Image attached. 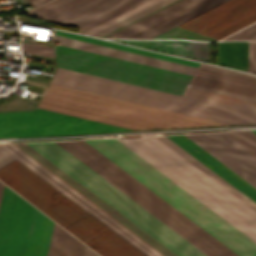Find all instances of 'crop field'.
Returning <instances> with one entry per match:
<instances>
[{
    "label": "crop field",
    "instance_id": "412701ff",
    "mask_svg": "<svg viewBox=\"0 0 256 256\" xmlns=\"http://www.w3.org/2000/svg\"><path fill=\"white\" fill-rule=\"evenodd\" d=\"M52 83L142 102L236 124L256 123V114L57 67Z\"/></svg>",
    "mask_w": 256,
    "mask_h": 256
},
{
    "label": "crop field",
    "instance_id": "733c2abd",
    "mask_svg": "<svg viewBox=\"0 0 256 256\" xmlns=\"http://www.w3.org/2000/svg\"><path fill=\"white\" fill-rule=\"evenodd\" d=\"M84 248L85 245L55 224L47 256H83Z\"/></svg>",
    "mask_w": 256,
    "mask_h": 256
},
{
    "label": "crop field",
    "instance_id": "bd1437ed",
    "mask_svg": "<svg viewBox=\"0 0 256 256\" xmlns=\"http://www.w3.org/2000/svg\"><path fill=\"white\" fill-rule=\"evenodd\" d=\"M3 187H4V184L0 182V199L3 191Z\"/></svg>",
    "mask_w": 256,
    "mask_h": 256
},
{
    "label": "crop field",
    "instance_id": "d8731c3e",
    "mask_svg": "<svg viewBox=\"0 0 256 256\" xmlns=\"http://www.w3.org/2000/svg\"><path fill=\"white\" fill-rule=\"evenodd\" d=\"M34 207L4 187L0 204V256H23ZM38 210H34L24 256H28Z\"/></svg>",
    "mask_w": 256,
    "mask_h": 256
},
{
    "label": "crop field",
    "instance_id": "eef30255",
    "mask_svg": "<svg viewBox=\"0 0 256 256\" xmlns=\"http://www.w3.org/2000/svg\"><path fill=\"white\" fill-rule=\"evenodd\" d=\"M224 40H256V23Z\"/></svg>",
    "mask_w": 256,
    "mask_h": 256
},
{
    "label": "crop field",
    "instance_id": "bc2a9ffb",
    "mask_svg": "<svg viewBox=\"0 0 256 256\" xmlns=\"http://www.w3.org/2000/svg\"><path fill=\"white\" fill-rule=\"evenodd\" d=\"M227 0H207L133 38H153Z\"/></svg>",
    "mask_w": 256,
    "mask_h": 256
},
{
    "label": "crop field",
    "instance_id": "ac0d7876",
    "mask_svg": "<svg viewBox=\"0 0 256 256\" xmlns=\"http://www.w3.org/2000/svg\"><path fill=\"white\" fill-rule=\"evenodd\" d=\"M166 256H177L26 143L17 144ZM15 144L0 145L146 256H164ZM0 148V178L23 165ZM0 179L101 256H145L25 166Z\"/></svg>",
    "mask_w": 256,
    "mask_h": 256
},
{
    "label": "crop field",
    "instance_id": "00972430",
    "mask_svg": "<svg viewBox=\"0 0 256 256\" xmlns=\"http://www.w3.org/2000/svg\"><path fill=\"white\" fill-rule=\"evenodd\" d=\"M173 1H175V0H163V1L153 5L151 7L135 14V15H132V16H130V17H128V18H126V19H124V20H122V21H120V22H118V23H116V24L98 32V33H96V34H94L93 36L102 37V36L112 32V31H114V30H116V29H118V28H120V27H122V26H124V25L142 17V16H145V15H147V14H149V13H151V12H153V11H155V10H157V9H159V8L165 6V5H167V4H169Z\"/></svg>",
    "mask_w": 256,
    "mask_h": 256
},
{
    "label": "crop field",
    "instance_id": "4177f3b9",
    "mask_svg": "<svg viewBox=\"0 0 256 256\" xmlns=\"http://www.w3.org/2000/svg\"><path fill=\"white\" fill-rule=\"evenodd\" d=\"M159 1H161V0H150V1H148L144 4H142V5L126 12V13H123V14H121V15H119V16H117V17H115V18H113V19H111V20H109V21H107V22H105V23L87 31V32H85L84 34L92 35V34L98 32V31H100V30H102V29H104V28H106V27H108V26H110V25H112V24L130 16V15H132V14H135V13H137V12H139V11H141V10H143V9H145V8L151 6V5H153V4H155Z\"/></svg>",
    "mask_w": 256,
    "mask_h": 256
},
{
    "label": "crop field",
    "instance_id": "dafd665d",
    "mask_svg": "<svg viewBox=\"0 0 256 256\" xmlns=\"http://www.w3.org/2000/svg\"><path fill=\"white\" fill-rule=\"evenodd\" d=\"M54 33L81 39V40H85V41H90V42H94V43H98V44H103V45H107V46H111V47H115V48H120V49H124V50H128V51H132V52H137V53H141V54H145V55H149V56H154V57H158V58H162V59H167V60H171V61H175V62H179V63H184V64L196 66V67L200 66L199 63H195V62H191V61H187V60H183V59H179V58H174V57H170V56H166V55H162V54H158V53H153V52H149V51H145V50H141V49H137V48H133V47H128V46H124V45H120V44H116V43H112V42H108V41H103V40H99V39H95V38L78 36V35L62 32V31H58V30H54Z\"/></svg>",
    "mask_w": 256,
    "mask_h": 256
},
{
    "label": "crop field",
    "instance_id": "d3111659",
    "mask_svg": "<svg viewBox=\"0 0 256 256\" xmlns=\"http://www.w3.org/2000/svg\"><path fill=\"white\" fill-rule=\"evenodd\" d=\"M84 256H98L93 251H91L89 248H85Z\"/></svg>",
    "mask_w": 256,
    "mask_h": 256
},
{
    "label": "crop field",
    "instance_id": "dd49c442",
    "mask_svg": "<svg viewBox=\"0 0 256 256\" xmlns=\"http://www.w3.org/2000/svg\"><path fill=\"white\" fill-rule=\"evenodd\" d=\"M133 130L36 108L0 113V138L129 132Z\"/></svg>",
    "mask_w": 256,
    "mask_h": 256
},
{
    "label": "crop field",
    "instance_id": "f4fd0767",
    "mask_svg": "<svg viewBox=\"0 0 256 256\" xmlns=\"http://www.w3.org/2000/svg\"><path fill=\"white\" fill-rule=\"evenodd\" d=\"M57 66L184 96L190 79L55 48Z\"/></svg>",
    "mask_w": 256,
    "mask_h": 256
},
{
    "label": "crop field",
    "instance_id": "e52e79f7",
    "mask_svg": "<svg viewBox=\"0 0 256 256\" xmlns=\"http://www.w3.org/2000/svg\"><path fill=\"white\" fill-rule=\"evenodd\" d=\"M83 0H52L44 5H41L31 12L39 18L46 19L76 3ZM135 0H85L77 5H74L46 20L63 24H76L80 28L133 2ZM148 0H137L81 29L78 32L83 33L129 9H132Z\"/></svg>",
    "mask_w": 256,
    "mask_h": 256
},
{
    "label": "crop field",
    "instance_id": "d1516ede",
    "mask_svg": "<svg viewBox=\"0 0 256 256\" xmlns=\"http://www.w3.org/2000/svg\"><path fill=\"white\" fill-rule=\"evenodd\" d=\"M194 84L256 98V77L202 64Z\"/></svg>",
    "mask_w": 256,
    "mask_h": 256
},
{
    "label": "crop field",
    "instance_id": "730fd06b",
    "mask_svg": "<svg viewBox=\"0 0 256 256\" xmlns=\"http://www.w3.org/2000/svg\"><path fill=\"white\" fill-rule=\"evenodd\" d=\"M23 52L54 58L53 47L22 42Z\"/></svg>",
    "mask_w": 256,
    "mask_h": 256
},
{
    "label": "crop field",
    "instance_id": "d32e631a",
    "mask_svg": "<svg viewBox=\"0 0 256 256\" xmlns=\"http://www.w3.org/2000/svg\"><path fill=\"white\" fill-rule=\"evenodd\" d=\"M250 131H252L254 134H256V130H250Z\"/></svg>",
    "mask_w": 256,
    "mask_h": 256
},
{
    "label": "crop field",
    "instance_id": "92a150f3",
    "mask_svg": "<svg viewBox=\"0 0 256 256\" xmlns=\"http://www.w3.org/2000/svg\"><path fill=\"white\" fill-rule=\"evenodd\" d=\"M53 224L54 222L42 213H38L29 256H46Z\"/></svg>",
    "mask_w": 256,
    "mask_h": 256
},
{
    "label": "crop field",
    "instance_id": "3316defc",
    "mask_svg": "<svg viewBox=\"0 0 256 256\" xmlns=\"http://www.w3.org/2000/svg\"><path fill=\"white\" fill-rule=\"evenodd\" d=\"M256 188V156L225 133L186 135Z\"/></svg>",
    "mask_w": 256,
    "mask_h": 256
},
{
    "label": "crop field",
    "instance_id": "1d83c4d3",
    "mask_svg": "<svg viewBox=\"0 0 256 256\" xmlns=\"http://www.w3.org/2000/svg\"><path fill=\"white\" fill-rule=\"evenodd\" d=\"M44 64H47V65L51 64V65H53V63L51 61H47V60H45Z\"/></svg>",
    "mask_w": 256,
    "mask_h": 256
},
{
    "label": "crop field",
    "instance_id": "4a817a6b",
    "mask_svg": "<svg viewBox=\"0 0 256 256\" xmlns=\"http://www.w3.org/2000/svg\"><path fill=\"white\" fill-rule=\"evenodd\" d=\"M157 138L256 211L255 202H253L251 199H249L247 196H245L231 184L226 182L224 179H222L220 176H218L216 173H214L212 170H210L208 167H206L204 164H202L200 161H198L196 158H194L192 155H190L188 152H186L172 140H170L168 137L160 136Z\"/></svg>",
    "mask_w": 256,
    "mask_h": 256
},
{
    "label": "crop field",
    "instance_id": "a9b5d70f",
    "mask_svg": "<svg viewBox=\"0 0 256 256\" xmlns=\"http://www.w3.org/2000/svg\"><path fill=\"white\" fill-rule=\"evenodd\" d=\"M229 136L256 155V135L249 130L227 132Z\"/></svg>",
    "mask_w": 256,
    "mask_h": 256
},
{
    "label": "crop field",
    "instance_id": "214f88e0",
    "mask_svg": "<svg viewBox=\"0 0 256 256\" xmlns=\"http://www.w3.org/2000/svg\"><path fill=\"white\" fill-rule=\"evenodd\" d=\"M218 64L247 72V42H219Z\"/></svg>",
    "mask_w": 256,
    "mask_h": 256
},
{
    "label": "crop field",
    "instance_id": "120bbe31",
    "mask_svg": "<svg viewBox=\"0 0 256 256\" xmlns=\"http://www.w3.org/2000/svg\"><path fill=\"white\" fill-rule=\"evenodd\" d=\"M31 67H36V68H40L39 65H33V64H30Z\"/></svg>",
    "mask_w": 256,
    "mask_h": 256
},
{
    "label": "crop field",
    "instance_id": "34b2d1b8",
    "mask_svg": "<svg viewBox=\"0 0 256 256\" xmlns=\"http://www.w3.org/2000/svg\"><path fill=\"white\" fill-rule=\"evenodd\" d=\"M38 107L130 129L231 124L52 83Z\"/></svg>",
    "mask_w": 256,
    "mask_h": 256
},
{
    "label": "crop field",
    "instance_id": "5a996713",
    "mask_svg": "<svg viewBox=\"0 0 256 256\" xmlns=\"http://www.w3.org/2000/svg\"><path fill=\"white\" fill-rule=\"evenodd\" d=\"M256 21V0H229L178 27L221 39Z\"/></svg>",
    "mask_w": 256,
    "mask_h": 256
},
{
    "label": "crop field",
    "instance_id": "ae1a2a85",
    "mask_svg": "<svg viewBox=\"0 0 256 256\" xmlns=\"http://www.w3.org/2000/svg\"><path fill=\"white\" fill-rule=\"evenodd\" d=\"M248 72L256 74V42H248Z\"/></svg>",
    "mask_w": 256,
    "mask_h": 256
},
{
    "label": "crop field",
    "instance_id": "5142ce71",
    "mask_svg": "<svg viewBox=\"0 0 256 256\" xmlns=\"http://www.w3.org/2000/svg\"><path fill=\"white\" fill-rule=\"evenodd\" d=\"M209 62L206 43L157 40H116Z\"/></svg>",
    "mask_w": 256,
    "mask_h": 256
},
{
    "label": "crop field",
    "instance_id": "750c4746",
    "mask_svg": "<svg viewBox=\"0 0 256 256\" xmlns=\"http://www.w3.org/2000/svg\"><path fill=\"white\" fill-rule=\"evenodd\" d=\"M29 1L33 4L34 7H36V6L46 2L48 0H29Z\"/></svg>",
    "mask_w": 256,
    "mask_h": 256
},
{
    "label": "crop field",
    "instance_id": "cbeb9de0",
    "mask_svg": "<svg viewBox=\"0 0 256 256\" xmlns=\"http://www.w3.org/2000/svg\"><path fill=\"white\" fill-rule=\"evenodd\" d=\"M205 0H180L148 17H145L107 37L131 38Z\"/></svg>",
    "mask_w": 256,
    "mask_h": 256
},
{
    "label": "crop field",
    "instance_id": "28ad6ade",
    "mask_svg": "<svg viewBox=\"0 0 256 256\" xmlns=\"http://www.w3.org/2000/svg\"><path fill=\"white\" fill-rule=\"evenodd\" d=\"M54 36H55V38L61 39V41L55 39V42L60 41V44H62V45H66V46H70V47H74V48H78V49H83V50H87V51H91V52H95V53H100V54H104V55H108V56H112V57H116V58H121V59L129 60V61H133V62H138V63H142V64L154 66V67H159V68H163V69H167V70H171V71H176V72H180V73H184V74H188V75H192V76H195L196 71L198 69L196 67H192V66H188V65H184V64H179V63H175V62H171V61H167V60L149 57V56H145V55H141V54H137V53H132V52L115 49V48H111V47H107V46H103V45L85 42V41L68 38V37H64V36H60V35H56V34H54ZM62 45L55 46V47L78 52V53H83V54H87V55H91V56H95V57H100V58H104V59H108V60H113V61H117V62H121V63H126V64H130V65H134V66H139V67H143V68H147V69H152V70H156V71H160V72H164V73H169V74H173V75H177V76H182V77H186V78H190V79L193 78L192 76H188V75H184V74H180V73H176V72H171V71H167V70H163V69H159V68H154V67H150V66H146V65H142V64H138V63H133V62H129V61L121 60V59H116V58H112V57H108V56H104V55H100V54H95V53H91V52H87V51H83V50H78V49H74V48H70V47H66V46H62Z\"/></svg>",
    "mask_w": 256,
    "mask_h": 256
},
{
    "label": "crop field",
    "instance_id": "22f410ed",
    "mask_svg": "<svg viewBox=\"0 0 256 256\" xmlns=\"http://www.w3.org/2000/svg\"><path fill=\"white\" fill-rule=\"evenodd\" d=\"M168 137L256 202V189L254 187H252L186 136L175 135Z\"/></svg>",
    "mask_w": 256,
    "mask_h": 256
},
{
    "label": "crop field",
    "instance_id": "8a807250",
    "mask_svg": "<svg viewBox=\"0 0 256 256\" xmlns=\"http://www.w3.org/2000/svg\"><path fill=\"white\" fill-rule=\"evenodd\" d=\"M240 256H256V212L155 137L86 140ZM84 140L56 142L208 256H239ZM54 142L28 143L178 256H207Z\"/></svg>",
    "mask_w": 256,
    "mask_h": 256
},
{
    "label": "crop field",
    "instance_id": "d9b57169",
    "mask_svg": "<svg viewBox=\"0 0 256 256\" xmlns=\"http://www.w3.org/2000/svg\"><path fill=\"white\" fill-rule=\"evenodd\" d=\"M188 97L256 112V99L192 84Z\"/></svg>",
    "mask_w": 256,
    "mask_h": 256
}]
</instances>
